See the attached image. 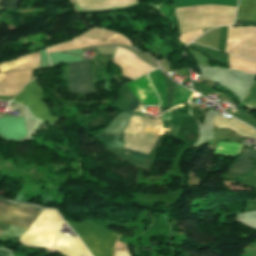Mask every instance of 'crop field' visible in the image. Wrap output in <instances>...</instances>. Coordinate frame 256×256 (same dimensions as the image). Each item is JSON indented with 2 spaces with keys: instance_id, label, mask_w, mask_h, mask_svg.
Returning <instances> with one entry per match:
<instances>
[{
  "instance_id": "1",
  "label": "crop field",
  "mask_w": 256,
  "mask_h": 256,
  "mask_svg": "<svg viewBox=\"0 0 256 256\" xmlns=\"http://www.w3.org/2000/svg\"><path fill=\"white\" fill-rule=\"evenodd\" d=\"M236 7L201 5L176 8L181 34L220 25H233Z\"/></svg>"
},
{
  "instance_id": "2",
  "label": "crop field",
  "mask_w": 256,
  "mask_h": 256,
  "mask_svg": "<svg viewBox=\"0 0 256 256\" xmlns=\"http://www.w3.org/2000/svg\"><path fill=\"white\" fill-rule=\"evenodd\" d=\"M160 121L133 115L125 131L124 147L147 153L158 137ZM124 149L123 153L143 160L145 153Z\"/></svg>"
},
{
  "instance_id": "3",
  "label": "crop field",
  "mask_w": 256,
  "mask_h": 256,
  "mask_svg": "<svg viewBox=\"0 0 256 256\" xmlns=\"http://www.w3.org/2000/svg\"><path fill=\"white\" fill-rule=\"evenodd\" d=\"M62 218L54 210L44 209L38 219L21 236L20 242L32 247H44L52 249L59 230Z\"/></svg>"
},
{
  "instance_id": "4",
  "label": "crop field",
  "mask_w": 256,
  "mask_h": 256,
  "mask_svg": "<svg viewBox=\"0 0 256 256\" xmlns=\"http://www.w3.org/2000/svg\"><path fill=\"white\" fill-rule=\"evenodd\" d=\"M67 223L79 235L94 256L113 255V246L118 233L87 221H82L79 224Z\"/></svg>"
},
{
  "instance_id": "5",
  "label": "crop field",
  "mask_w": 256,
  "mask_h": 256,
  "mask_svg": "<svg viewBox=\"0 0 256 256\" xmlns=\"http://www.w3.org/2000/svg\"><path fill=\"white\" fill-rule=\"evenodd\" d=\"M42 94L43 91L34 80L28 83L23 91L14 98V100L18 103L27 104L31 113L36 117L55 124L59 118L51 114L48 106L41 98Z\"/></svg>"
},
{
  "instance_id": "6",
  "label": "crop field",
  "mask_w": 256,
  "mask_h": 256,
  "mask_svg": "<svg viewBox=\"0 0 256 256\" xmlns=\"http://www.w3.org/2000/svg\"><path fill=\"white\" fill-rule=\"evenodd\" d=\"M0 200L10 204L12 206H23L29 208H35L37 210L43 211V209H39L29 205H17L14 203H10L9 201L0 197ZM0 201V221L9 224L16 225L27 229L33 221L40 215V211H36L34 209H28L23 207H12Z\"/></svg>"
},
{
  "instance_id": "7",
  "label": "crop field",
  "mask_w": 256,
  "mask_h": 256,
  "mask_svg": "<svg viewBox=\"0 0 256 256\" xmlns=\"http://www.w3.org/2000/svg\"><path fill=\"white\" fill-rule=\"evenodd\" d=\"M131 115L132 113L119 114L112 124L99 134L106 148L121 153L123 130Z\"/></svg>"
},
{
  "instance_id": "8",
  "label": "crop field",
  "mask_w": 256,
  "mask_h": 256,
  "mask_svg": "<svg viewBox=\"0 0 256 256\" xmlns=\"http://www.w3.org/2000/svg\"><path fill=\"white\" fill-rule=\"evenodd\" d=\"M69 89L75 92H93L89 81V62L70 63V85Z\"/></svg>"
},
{
  "instance_id": "9",
  "label": "crop field",
  "mask_w": 256,
  "mask_h": 256,
  "mask_svg": "<svg viewBox=\"0 0 256 256\" xmlns=\"http://www.w3.org/2000/svg\"><path fill=\"white\" fill-rule=\"evenodd\" d=\"M135 96L143 104H159L158 97L146 75L141 79L128 83Z\"/></svg>"
},
{
  "instance_id": "10",
  "label": "crop field",
  "mask_w": 256,
  "mask_h": 256,
  "mask_svg": "<svg viewBox=\"0 0 256 256\" xmlns=\"http://www.w3.org/2000/svg\"><path fill=\"white\" fill-rule=\"evenodd\" d=\"M54 249L65 256H91L79 238H71L60 234Z\"/></svg>"
},
{
  "instance_id": "11",
  "label": "crop field",
  "mask_w": 256,
  "mask_h": 256,
  "mask_svg": "<svg viewBox=\"0 0 256 256\" xmlns=\"http://www.w3.org/2000/svg\"><path fill=\"white\" fill-rule=\"evenodd\" d=\"M238 55L256 60L255 27H242Z\"/></svg>"
},
{
  "instance_id": "12",
  "label": "crop field",
  "mask_w": 256,
  "mask_h": 256,
  "mask_svg": "<svg viewBox=\"0 0 256 256\" xmlns=\"http://www.w3.org/2000/svg\"><path fill=\"white\" fill-rule=\"evenodd\" d=\"M213 123L221 128H229L241 136L254 137L256 139L255 130L233 118L228 121L218 115L213 119Z\"/></svg>"
},
{
  "instance_id": "13",
  "label": "crop field",
  "mask_w": 256,
  "mask_h": 256,
  "mask_svg": "<svg viewBox=\"0 0 256 256\" xmlns=\"http://www.w3.org/2000/svg\"><path fill=\"white\" fill-rule=\"evenodd\" d=\"M250 157H256L254 149L245 148L240 158L229 171V173L243 175L249 169L253 168Z\"/></svg>"
},
{
  "instance_id": "14",
  "label": "crop field",
  "mask_w": 256,
  "mask_h": 256,
  "mask_svg": "<svg viewBox=\"0 0 256 256\" xmlns=\"http://www.w3.org/2000/svg\"><path fill=\"white\" fill-rule=\"evenodd\" d=\"M149 78L161 100V106H166V86L159 70L149 73Z\"/></svg>"
},
{
  "instance_id": "15",
  "label": "crop field",
  "mask_w": 256,
  "mask_h": 256,
  "mask_svg": "<svg viewBox=\"0 0 256 256\" xmlns=\"http://www.w3.org/2000/svg\"><path fill=\"white\" fill-rule=\"evenodd\" d=\"M237 19L256 21V0H241Z\"/></svg>"
},
{
  "instance_id": "16",
  "label": "crop field",
  "mask_w": 256,
  "mask_h": 256,
  "mask_svg": "<svg viewBox=\"0 0 256 256\" xmlns=\"http://www.w3.org/2000/svg\"><path fill=\"white\" fill-rule=\"evenodd\" d=\"M229 68L256 73V62L229 55Z\"/></svg>"
},
{
  "instance_id": "17",
  "label": "crop field",
  "mask_w": 256,
  "mask_h": 256,
  "mask_svg": "<svg viewBox=\"0 0 256 256\" xmlns=\"http://www.w3.org/2000/svg\"><path fill=\"white\" fill-rule=\"evenodd\" d=\"M242 145L232 142H220L213 154L236 155L241 150Z\"/></svg>"
},
{
  "instance_id": "18",
  "label": "crop field",
  "mask_w": 256,
  "mask_h": 256,
  "mask_svg": "<svg viewBox=\"0 0 256 256\" xmlns=\"http://www.w3.org/2000/svg\"><path fill=\"white\" fill-rule=\"evenodd\" d=\"M193 92L182 88L181 86L177 85V89L174 96L173 106L182 104L185 102H189L191 99Z\"/></svg>"
},
{
  "instance_id": "19",
  "label": "crop field",
  "mask_w": 256,
  "mask_h": 256,
  "mask_svg": "<svg viewBox=\"0 0 256 256\" xmlns=\"http://www.w3.org/2000/svg\"><path fill=\"white\" fill-rule=\"evenodd\" d=\"M143 107L142 104H140L137 99L133 96V98L131 99V101L129 102L128 106L126 107V109L124 110V112L127 111H138L141 110Z\"/></svg>"
},
{
  "instance_id": "20",
  "label": "crop field",
  "mask_w": 256,
  "mask_h": 256,
  "mask_svg": "<svg viewBox=\"0 0 256 256\" xmlns=\"http://www.w3.org/2000/svg\"><path fill=\"white\" fill-rule=\"evenodd\" d=\"M21 1V0H20ZM19 0H10L7 8L14 10L18 4ZM20 3V2H19Z\"/></svg>"
},
{
  "instance_id": "21",
  "label": "crop field",
  "mask_w": 256,
  "mask_h": 256,
  "mask_svg": "<svg viewBox=\"0 0 256 256\" xmlns=\"http://www.w3.org/2000/svg\"><path fill=\"white\" fill-rule=\"evenodd\" d=\"M8 253L4 252V251H0V256H7Z\"/></svg>"
},
{
  "instance_id": "22",
  "label": "crop field",
  "mask_w": 256,
  "mask_h": 256,
  "mask_svg": "<svg viewBox=\"0 0 256 256\" xmlns=\"http://www.w3.org/2000/svg\"><path fill=\"white\" fill-rule=\"evenodd\" d=\"M253 109L256 110V104H255V106L253 107Z\"/></svg>"
}]
</instances>
